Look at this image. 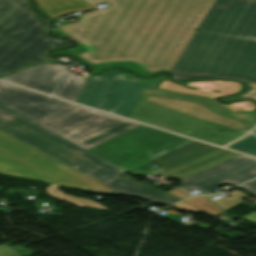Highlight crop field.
<instances>
[{
	"label": "crop field",
	"mask_w": 256,
	"mask_h": 256,
	"mask_svg": "<svg viewBox=\"0 0 256 256\" xmlns=\"http://www.w3.org/2000/svg\"><path fill=\"white\" fill-rule=\"evenodd\" d=\"M107 8L60 25L93 64L135 62L148 71L172 69L215 0H89Z\"/></svg>",
	"instance_id": "crop-field-1"
},
{
	"label": "crop field",
	"mask_w": 256,
	"mask_h": 256,
	"mask_svg": "<svg viewBox=\"0 0 256 256\" xmlns=\"http://www.w3.org/2000/svg\"><path fill=\"white\" fill-rule=\"evenodd\" d=\"M164 77L121 72L101 110L218 145L256 126V110L230 111L208 97L156 90Z\"/></svg>",
	"instance_id": "crop-field-2"
},
{
	"label": "crop field",
	"mask_w": 256,
	"mask_h": 256,
	"mask_svg": "<svg viewBox=\"0 0 256 256\" xmlns=\"http://www.w3.org/2000/svg\"><path fill=\"white\" fill-rule=\"evenodd\" d=\"M171 73L174 81L256 82V0H216Z\"/></svg>",
	"instance_id": "crop-field-3"
},
{
	"label": "crop field",
	"mask_w": 256,
	"mask_h": 256,
	"mask_svg": "<svg viewBox=\"0 0 256 256\" xmlns=\"http://www.w3.org/2000/svg\"><path fill=\"white\" fill-rule=\"evenodd\" d=\"M87 151L132 175L160 172L154 160L165 177L176 180L239 154L143 125Z\"/></svg>",
	"instance_id": "crop-field-4"
},
{
	"label": "crop field",
	"mask_w": 256,
	"mask_h": 256,
	"mask_svg": "<svg viewBox=\"0 0 256 256\" xmlns=\"http://www.w3.org/2000/svg\"><path fill=\"white\" fill-rule=\"evenodd\" d=\"M0 131L75 168L120 192L152 202L170 205L179 201L146 182L136 183L127 172L73 145L59 136L0 105Z\"/></svg>",
	"instance_id": "crop-field-5"
},
{
	"label": "crop field",
	"mask_w": 256,
	"mask_h": 256,
	"mask_svg": "<svg viewBox=\"0 0 256 256\" xmlns=\"http://www.w3.org/2000/svg\"><path fill=\"white\" fill-rule=\"evenodd\" d=\"M0 174L51 184L46 190L50 195L79 206L107 209L93 200L77 198L61 193L55 190L56 187L68 186L87 191L117 194L109 188L2 132H0Z\"/></svg>",
	"instance_id": "crop-field-6"
},
{
	"label": "crop field",
	"mask_w": 256,
	"mask_h": 256,
	"mask_svg": "<svg viewBox=\"0 0 256 256\" xmlns=\"http://www.w3.org/2000/svg\"><path fill=\"white\" fill-rule=\"evenodd\" d=\"M37 124L85 150L140 125L80 106Z\"/></svg>",
	"instance_id": "crop-field-7"
},
{
	"label": "crop field",
	"mask_w": 256,
	"mask_h": 256,
	"mask_svg": "<svg viewBox=\"0 0 256 256\" xmlns=\"http://www.w3.org/2000/svg\"><path fill=\"white\" fill-rule=\"evenodd\" d=\"M227 166V168H224ZM256 177V159L239 154L200 173L180 180V189L192 192L197 189L204 194L223 184L236 186Z\"/></svg>",
	"instance_id": "crop-field-8"
},
{
	"label": "crop field",
	"mask_w": 256,
	"mask_h": 256,
	"mask_svg": "<svg viewBox=\"0 0 256 256\" xmlns=\"http://www.w3.org/2000/svg\"><path fill=\"white\" fill-rule=\"evenodd\" d=\"M0 104L37 123L77 105L0 82Z\"/></svg>",
	"instance_id": "crop-field-9"
},
{
	"label": "crop field",
	"mask_w": 256,
	"mask_h": 256,
	"mask_svg": "<svg viewBox=\"0 0 256 256\" xmlns=\"http://www.w3.org/2000/svg\"><path fill=\"white\" fill-rule=\"evenodd\" d=\"M47 50L5 32H0V77L32 64L53 61V58L46 56Z\"/></svg>",
	"instance_id": "crop-field-10"
},
{
	"label": "crop field",
	"mask_w": 256,
	"mask_h": 256,
	"mask_svg": "<svg viewBox=\"0 0 256 256\" xmlns=\"http://www.w3.org/2000/svg\"><path fill=\"white\" fill-rule=\"evenodd\" d=\"M188 85L196 87L197 89L189 90L185 87H182L181 85L170 83L166 78L159 89L199 95V96H208L216 103L230 110L256 109L254 104L251 102V100H246L244 102H235V103H231V105H224L215 100L217 96L230 95L234 92L239 91L242 88V84L240 83H236L233 81H200V82L188 83ZM211 90H218L219 92L217 93Z\"/></svg>",
	"instance_id": "crop-field-11"
},
{
	"label": "crop field",
	"mask_w": 256,
	"mask_h": 256,
	"mask_svg": "<svg viewBox=\"0 0 256 256\" xmlns=\"http://www.w3.org/2000/svg\"><path fill=\"white\" fill-rule=\"evenodd\" d=\"M54 66L52 64H41L21 70L1 80L51 94L66 72L65 70L54 69Z\"/></svg>",
	"instance_id": "crop-field-12"
},
{
	"label": "crop field",
	"mask_w": 256,
	"mask_h": 256,
	"mask_svg": "<svg viewBox=\"0 0 256 256\" xmlns=\"http://www.w3.org/2000/svg\"><path fill=\"white\" fill-rule=\"evenodd\" d=\"M49 26L46 21L36 15L35 17L5 31L12 35L18 36L35 44L41 45L48 49L70 45V42L64 39H53L46 35Z\"/></svg>",
	"instance_id": "crop-field-13"
},
{
	"label": "crop field",
	"mask_w": 256,
	"mask_h": 256,
	"mask_svg": "<svg viewBox=\"0 0 256 256\" xmlns=\"http://www.w3.org/2000/svg\"><path fill=\"white\" fill-rule=\"evenodd\" d=\"M118 73V70H110L99 76L91 74L76 102L100 109Z\"/></svg>",
	"instance_id": "crop-field-14"
},
{
	"label": "crop field",
	"mask_w": 256,
	"mask_h": 256,
	"mask_svg": "<svg viewBox=\"0 0 256 256\" xmlns=\"http://www.w3.org/2000/svg\"><path fill=\"white\" fill-rule=\"evenodd\" d=\"M25 0H0V30H7L31 17Z\"/></svg>",
	"instance_id": "crop-field-15"
},
{
	"label": "crop field",
	"mask_w": 256,
	"mask_h": 256,
	"mask_svg": "<svg viewBox=\"0 0 256 256\" xmlns=\"http://www.w3.org/2000/svg\"><path fill=\"white\" fill-rule=\"evenodd\" d=\"M39 9L50 19L73 12L94 9L85 0H36Z\"/></svg>",
	"instance_id": "crop-field-16"
},
{
	"label": "crop field",
	"mask_w": 256,
	"mask_h": 256,
	"mask_svg": "<svg viewBox=\"0 0 256 256\" xmlns=\"http://www.w3.org/2000/svg\"><path fill=\"white\" fill-rule=\"evenodd\" d=\"M86 81L79 74L68 72L53 95L75 101Z\"/></svg>",
	"instance_id": "crop-field-17"
},
{
	"label": "crop field",
	"mask_w": 256,
	"mask_h": 256,
	"mask_svg": "<svg viewBox=\"0 0 256 256\" xmlns=\"http://www.w3.org/2000/svg\"><path fill=\"white\" fill-rule=\"evenodd\" d=\"M56 27V30H55V34H60V35H64V36H67L69 37L68 35H66L65 33L61 32L59 27L58 26H55ZM70 38V37H69ZM72 39V38H71ZM74 40V39H73ZM75 41V40H74ZM76 42V41H75ZM77 43V42H76ZM78 44V43H77ZM82 46V45H81ZM79 44L71 49V50H56V51H53L54 54H59V53H68L70 55H73L75 57H78V54L85 51V49L83 47H81ZM79 58V57H78ZM93 68H95L96 70H102L103 68H105L106 66H125L135 72H138L140 74H143V75H149L151 74L150 72L148 71H145L144 69L140 68L139 66H137L136 64L134 63H129V62H116V63H105V64H102V65H93V64H90ZM165 71H169L170 70H165Z\"/></svg>",
	"instance_id": "crop-field-18"
},
{
	"label": "crop field",
	"mask_w": 256,
	"mask_h": 256,
	"mask_svg": "<svg viewBox=\"0 0 256 256\" xmlns=\"http://www.w3.org/2000/svg\"><path fill=\"white\" fill-rule=\"evenodd\" d=\"M228 148L256 156V136L249 134L245 138L229 145Z\"/></svg>",
	"instance_id": "crop-field-19"
},
{
	"label": "crop field",
	"mask_w": 256,
	"mask_h": 256,
	"mask_svg": "<svg viewBox=\"0 0 256 256\" xmlns=\"http://www.w3.org/2000/svg\"><path fill=\"white\" fill-rule=\"evenodd\" d=\"M230 192H233L235 193L234 195L230 196V197H220L218 198L217 200H212L210 199L211 201H213L214 203H216L218 206H220L221 208L224 209V211L234 207L235 205L245 201L243 200L242 198L248 196L247 194L237 190V189H234ZM219 196L221 194H218Z\"/></svg>",
	"instance_id": "crop-field-20"
},
{
	"label": "crop field",
	"mask_w": 256,
	"mask_h": 256,
	"mask_svg": "<svg viewBox=\"0 0 256 256\" xmlns=\"http://www.w3.org/2000/svg\"><path fill=\"white\" fill-rule=\"evenodd\" d=\"M209 197V196H207ZM202 196H196L190 199H187L183 202L211 215L214 216L218 213H220V209H218L216 206H214L212 203H210L209 201L204 202L201 200Z\"/></svg>",
	"instance_id": "crop-field-21"
},
{
	"label": "crop field",
	"mask_w": 256,
	"mask_h": 256,
	"mask_svg": "<svg viewBox=\"0 0 256 256\" xmlns=\"http://www.w3.org/2000/svg\"><path fill=\"white\" fill-rule=\"evenodd\" d=\"M52 64L57 65L55 68L57 69H65L68 70V68L72 65L78 64L76 61H74L71 58L68 57H62V58H57Z\"/></svg>",
	"instance_id": "crop-field-22"
},
{
	"label": "crop field",
	"mask_w": 256,
	"mask_h": 256,
	"mask_svg": "<svg viewBox=\"0 0 256 256\" xmlns=\"http://www.w3.org/2000/svg\"><path fill=\"white\" fill-rule=\"evenodd\" d=\"M248 85H251L253 86L254 88V91L250 94H244V93H241L239 95H234L230 98H222L221 100L222 101H227V100H239V99H242L243 97H253V98H256V85L255 84H250L248 83Z\"/></svg>",
	"instance_id": "crop-field-23"
},
{
	"label": "crop field",
	"mask_w": 256,
	"mask_h": 256,
	"mask_svg": "<svg viewBox=\"0 0 256 256\" xmlns=\"http://www.w3.org/2000/svg\"><path fill=\"white\" fill-rule=\"evenodd\" d=\"M237 188H245V189H247L246 192L256 196V179L253 180V181H250V182H248L246 184H243V185H241V186H239Z\"/></svg>",
	"instance_id": "crop-field-24"
},
{
	"label": "crop field",
	"mask_w": 256,
	"mask_h": 256,
	"mask_svg": "<svg viewBox=\"0 0 256 256\" xmlns=\"http://www.w3.org/2000/svg\"><path fill=\"white\" fill-rule=\"evenodd\" d=\"M166 193H168V194H170V195H172V196H174V197H176V198H178L180 200L185 198V197H187V196H189V195H191V194H189L187 192L181 191V190L176 189V188H174V189H172V190H170V191H168Z\"/></svg>",
	"instance_id": "crop-field-25"
},
{
	"label": "crop field",
	"mask_w": 256,
	"mask_h": 256,
	"mask_svg": "<svg viewBox=\"0 0 256 256\" xmlns=\"http://www.w3.org/2000/svg\"><path fill=\"white\" fill-rule=\"evenodd\" d=\"M0 256H20L18 253L10 249L8 246H0Z\"/></svg>",
	"instance_id": "crop-field-26"
},
{
	"label": "crop field",
	"mask_w": 256,
	"mask_h": 256,
	"mask_svg": "<svg viewBox=\"0 0 256 256\" xmlns=\"http://www.w3.org/2000/svg\"><path fill=\"white\" fill-rule=\"evenodd\" d=\"M175 207H178V208H182V209H184V210H186V211H195V212H200L199 210H197V209H195V208H193V207H191V206H189V205H187V204H185V203H183V202H181V203H179V204H176V205H174Z\"/></svg>",
	"instance_id": "crop-field-27"
},
{
	"label": "crop field",
	"mask_w": 256,
	"mask_h": 256,
	"mask_svg": "<svg viewBox=\"0 0 256 256\" xmlns=\"http://www.w3.org/2000/svg\"><path fill=\"white\" fill-rule=\"evenodd\" d=\"M241 218L249 220L251 222H256V211H254V212H252L250 214H247V215H245V216H243Z\"/></svg>",
	"instance_id": "crop-field-28"
},
{
	"label": "crop field",
	"mask_w": 256,
	"mask_h": 256,
	"mask_svg": "<svg viewBox=\"0 0 256 256\" xmlns=\"http://www.w3.org/2000/svg\"><path fill=\"white\" fill-rule=\"evenodd\" d=\"M253 133H255V134H256V130H255V131H253Z\"/></svg>",
	"instance_id": "crop-field-29"
}]
</instances>
